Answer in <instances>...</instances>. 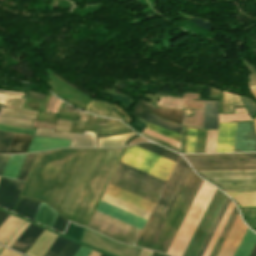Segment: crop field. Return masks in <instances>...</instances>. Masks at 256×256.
I'll list each match as a JSON object with an SVG mask.
<instances>
[{
	"label": "crop field",
	"instance_id": "db79e9e6",
	"mask_svg": "<svg viewBox=\"0 0 256 256\" xmlns=\"http://www.w3.org/2000/svg\"><path fill=\"white\" fill-rule=\"evenodd\" d=\"M142 136H144V137H146V138H148V139H151V140H153V141H155V142H158V143H160V144H162V145H164V146H166V147H169V148H171V149H173V150H175V151H177L178 152V148H176V147H174V146H171V145H169V144H167V143H164V142H162V141H160V140H158V139H155V138H153V137H151V136H148V135H146V134H142ZM157 143V144H158Z\"/></svg>",
	"mask_w": 256,
	"mask_h": 256
},
{
	"label": "crop field",
	"instance_id": "730fd06b",
	"mask_svg": "<svg viewBox=\"0 0 256 256\" xmlns=\"http://www.w3.org/2000/svg\"><path fill=\"white\" fill-rule=\"evenodd\" d=\"M230 201L231 200L226 197V199H225V201H224V203H223V205H222V207H221V209H220V211H219V213H218V215H217V217H216L212 227L210 228V230H209V232H208V234H207V236H206V238H205V240H204V242H203V244H202V246H201V248L198 251L196 256H202L203 255V253H204V251H205V249H206V247H207V245H208V243H209V241H210V239H211L215 229L217 228V226H218V224H219L223 214L225 213V211H226Z\"/></svg>",
	"mask_w": 256,
	"mask_h": 256
},
{
	"label": "crop field",
	"instance_id": "0fb4a251",
	"mask_svg": "<svg viewBox=\"0 0 256 256\" xmlns=\"http://www.w3.org/2000/svg\"><path fill=\"white\" fill-rule=\"evenodd\" d=\"M241 99H242V101L244 102V104H245V106H246L248 112L250 113L251 117H252L253 115H255V114H256V104L253 103L252 101H250V100L244 98V97H241Z\"/></svg>",
	"mask_w": 256,
	"mask_h": 256
},
{
	"label": "crop field",
	"instance_id": "f4fd0767",
	"mask_svg": "<svg viewBox=\"0 0 256 256\" xmlns=\"http://www.w3.org/2000/svg\"><path fill=\"white\" fill-rule=\"evenodd\" d=\"M195 171L256 170V153L183 155Z\"/></svg>",
	"mask_w": 256,
	"mask_h": 256
},
{
	"label": "crop field",
	"instance_id": "5142ce71",
	"mask_svg": "<svg viewBox=\"0 0 256 256\" xmlns=\"http://www.w3.org/2000/svg\"><path fill=\"white\" fill-rule=\"evenodd\" d=\"M36 135L72 139L69 147H96L94 133L84 132V134H64L53 132V130L37 129Z\"/></svg>",
	"mask_w": 256,
	"mask_h": 256
},
{
	"label": "crop field",
	"instance_id": "cbeb9de0",
	"mask_svg": "<svg viewBox=\"0 0 256 256\" xmlns=\"http://www.w3.org/2000/svg\"><path fill=\"white\" fill-rule=\"evenodd\" d=\"M246 229L238 215L217 256H233Z\"/></svg>",
	"mask_w": 256,
	"mask_h": 256
},
{
	"label": "crop field",
	"instance_id": "34b2d1b8",
	"mask_svg": "<svg viewBox=\"0 0 256 256\" xmlns=\"http://www.w3.org/2000/svg\"><path fill=\"white\" fill-rule=\"evenodd\" d=\"M114 173L121 177H124L130 181H133L141 186H144L150 190H153L159 194H161V192L164 188V185L157 183L151 179H148L144 176H141V175H139L135 172H132L128 169H125L119 165L117 166ZM115 174H113V176L109 182L110 184L156 203V201L159 197V194H157L153 191H150L144 187H141L133 182H130L124 178H121ZM110 184L108 185V187L105 191L106 193H108L114 197H117L125 202H128L138 208H141L149 213L151 212V210L154 206V203L147 201L143 198H140L136 195H133L131 193H128L124 190H121L117 187H114Z\"/></svg>",
	"mask_w": 256,
	"mask_h": 256
},
{
	"label": "crop field",
	"instance_id": "92a150f3",
	"mask_svg": "<svg viewBox=\"0 0 256 256\" xmlns=\"http://www.w3.org/2000/svg\"><path fill=\"white\" fill-rule=\"evenodd\" d=\"M57 216L58 214L49 206L41 203L33 220L44 226L52 228Z\"/></svg>",
	"mask_w": 256,
	"mask_h": 256
},
{
	"label": "crop field",
	"instance_id": "bc2a9ffb",
	"mask_svg": "<svg viewBox=\"0 0 256 256\" xmlns=\"http://www.w3.org/2000/svg\"><path fill=\"white\" fill-rule=\"evenodd\" d=\"M71 140H58L34 137L28 152L40 151L58 147H68Z\"/></svg>",
	"mask_w": 256,
	"mask_h": 256
},
{
	"label": "crop field",
	"instance_id": "dd49c442",
	"mask_svg": "<svg viewBox=\"0 0 256 256\" xmlns=\"http://www.w3.org/2000/svg\"><path fill=\"white\" fill-rule=\"evenodd\" d=\"M121 162L161 178L165 181H167L175 165V162L140 148L136 145L130 146L126 149Z\"/></svg>",
	"mask_w": 256,
	"mask_h": 256
},
{
	"label": "crop field",
	"instance_id": "5d738f31",
	"mask_svg": "<svg viewBox=\"0 0 256 256\" xmlns=\"http://www.w3.org/2000/svg\"><path fill=\"white\" fill-rule=\"evenodd\" d=\"M34 121H21L12 118L0 117V124L32 127Z\"/></svg>",
	"mask_w": 256,
	"mask_h": 256
},
{
	"label": "crop field",
	"instance_id": "c3a83c6f",
	"mask_svg": "<svg viewBox=\"0 0 256 256\" xmlns=\"http://www.w3.org/2000/svg\"><path fill=\"white\" fill-rule=\"evenodd\" d=\"M223 112H225L224 92H223Z\"/></svg>",
	"mask_w": 256,
	"mask_h": 256
},
{
	"label": "crop field",
	"instance_id": "4a817a6b",
	"mask_svg": "<svg viewBox=\"0 0 256 256\" xmlns=\"http://www.w3.org/2000/svg\"><path fill=\"white\" fill-rule=\"evenodd\" d=\"M43 229L33 225H29L18 240L13 244L11 249L25 254L38 236L42 233Z\"/></svg>",
	"mask_w": 256,
	"mask_h": 256
},
{
	"label": "crop field",
	"instance_id": "00972430",
	"mask_svg": "<svg viewBox=\"0 0 256 256\" xmlns=\"http://www.w3.org/2000/svg\"><path fill=\"white\" fill-rule=\"evenodd\" d=\"M22 223L24 222L15 217L9 216L0 227V243L4 245Z\"/></svg>",
	"mask_w": 256,
	"mask_h": 256
},
{
	"label": "crop field",
	"instance_id": "d8731c3e",
	"mask_svg": "<svg viewBox=\"0 0 256 256\" xmlns=\"http://www.w3.org/2000/svg\"><path fill=\"white\" fill-rule=\"evenodd\" d=\"M134 227V226H133ZM95 211L88 228L109 238L134 245L140 230Z\"/></svg>",
	"mask_w": 256,
	"mask_h": 256
},
{
	"label": "crop field",
	"instance_id": "1d79db26",
	"mask_svg": "<svg viewBox=\"0 0 256 256\" xmlns=\"http://www.w3.org/2000/svg\"><path fill=\"white\" fill-rule=\"evenodd\" d=\"M119 165H121V166H123V167H126V168H128V169H130V170H132V171H135V172H137V173H139V174H142V175H144V176H146V177H148V178H151V179H153V180H155V181H158V182H160V183H162V184H164L165 185V181H163V180H161V179H158V178H156V177H154V176H151V175H149V174H147V173H144V172H142V171H139V170H137V169H135V168H132V167H130V166H128V165H125V164H123V163H121V162H119Z\"/></svg>",
	"mask_w": 256,
	"mask_h": 256
},
{
	"label": "crop field",
	"instance_id": "ade564c9",
	"mask_svg": "<svg viewBox=\"0 0 256 256\" xmlns=\"http://www.w3.org/2000/svg\"><path fill=\"white\" fill-rule=\"evenodd\" d=\"M152 256H167V255H163V254H159V253L153 252Z\"/></svg>",
	"mask_w": 256,
	"mask_h": 256
},
{
	"label": "crop field",
	"instance_id": "73cf0c24",
	"mask_svg": "<svg viewBox=\"0 0 256 256\" xmlns=\"http://www.w3.org/2000/svg\"><path fill=\"white\" fill-rule=\"evenodd\" d=\"M0 131L18 132V133H24V134H30V135L35 134V130H32V129L17 128V127H11V126H3V125H0Z\"/></svg>",
	"mask_w": 256,
	"mask_h": 256
},
{
	"label": "crop field",
	"instance_id": "d32e631a",
	"mask_svg": "<svg viewBox=\"0 0 256 256\" xmlns=\"http://www.w3.org/2000/svg\"><path fill=\"white\" fill-rule=\"evenodd\" d=\"M233 206H234V204H233L232 201H231V203H230V205H229V207H228V209H227V211H226V213H225V215H224L222 221L220 222V224H219V226H218V228H217V230H216V232H215V234H214V236H213L211 242L209 243V245H208V247H207V249H206V251H205V253H204L203 256H209V254H210V252H211V250H212V248H213V246H214V244H215V242H216V240H217V238H218V236H219V234H220V232H221V230H222V228H223V226H224V224H225V222H226V220H227V218H228V216H229V214H230V212H231V210H232V208H233ZM234 207H235V206H234ZM233 209H234V208H233ZM232 211H233V210H232ZM231 213H232V212H231ZM230 215H231V214H230ZM229 217H230V216H229ZM228 219H229V218H228Z\"/></svg>",
	"mask_w": 256,
	"mask_h": 256
},
{
	"label": "crop field",
	"instance_id": "ac0d7876",
	"mask_svg": "<svg viewBox=\"0 0 256 256\" xmlns=\"http://www.w3.org/2000/svg\"><path fill=\"white\" fill-rule=\"evenodd\" d=\"M202 181L191 169L168 217L152 214L137 246L166 253Z\"/></svg>",
	"mask_w": 256,
	"mask_h": 256
},
{
	"label": "crop field",
	"instance_id": "c39391a2",
	"mask_svg": "<svg viewBox=\"0 0 256 256\" xmlns=\"http://www.w3.org/2000/svg\"><path fill=\"white\" fill-rule=\"evenodd\" d=\"M101 254L97 253V252H94L92 251L91 254L89 256H100Z\"/></svg>",
	"mask_w": 256,
	"mask_h": 256
},
{
	"label": "crop field",
	"instance_id": "1d83c4d3",
	"mask_svg": "<svg viewBox=\"0 0 256 256\" xmlns=\"http://www.w3.org/2000/svg\"><path fill=\"white\" fill-rule=\"evenodd\" d=\"M235 199L241 207H256V192L254 193H227Z\"/></svg>",
	"mask_w": 256,
	"mask_h": 256
},
{
	"label": "crop field",
	"instance_id": "750c4746",
	"mask_svg": "<svg viewBox=\"0 0 256 256\" xmlns=\"http://www.w3.org/2000/svg\"><path fill=\"white\" fill-rule=\"evenodd\" d=\"M152 113L164 119H167L171 122H175L179 124H181L182 122V116H183L182 110L154 108Z\"/></svg>",
	"mask_w": 256,
	"mask_h": 256
},
{
	"label": "crop field",
	"instance_id": "e52e79f7",
	"mask_svg": "<svg viewBox=\"0 0 256 256\" xmlns=\"http://www.w3.org/2000/svg\"><path fill=\"white\" fill-rule=\"evenodd\" d=\"M225 192L256 191V171L198 172Z\"/></svg>",
	"mask_w": 256,
	"mask_h": 256
},
{
	"label": "crop field",
	"instance_id": "1f2cbd36",
	"mask_svg": "<svg viewBox=\"0 0 256 256\" xmlns=\"http://www.w3.org/2000/svg\"><path fill=\"white\" fill-rule=\"evenodd\" d=\"M79 248L80 245L69 241V243L66 245V247L59 256H74V254L77 252Z\"/></svg>",
	"mask_w": 256,
	"mask_h": 256
},
{
	"label": "crop field",
	"instance_id": "25e5ab78",
	"mask_svg": "<svg viewBox=\"0 0 256 256\" xmlns=\"http://www.w3.org/2000/svg\"><path fill=\"white\" fill-rule=\"evenodd\" d=\"M52 73H53V75H54L55 77H57L59 80L63 81L64 83H66V84H68V85H70V86H72V87H74V88L80 90L81 92H83V93H85V94L94 96V93H92V92H90L89 90L83 88L82 86H79V85L75 84L74 82L67 80L65 77H63V76H61V75H59V74H57V73H55V72H53V71H52Z\"/></svg>",
	"mask_w": 256,
	"mask_h": 256
},
{
	"label": "crop field",
	"instance_id": "d1516ede",
	"mask_svg": "<svg viewBox=\"0 0 256 256\" xmlns=\"http://www.w3.org/2000/svg\"><path fill=\"white\" fill-rule=\"evenodd\" d=\"M256 151V133L252 121L237 122L234 152Z\"/></svg>",
	"mask_w": 256,
	"mask_h": 256
},
{
	"label": "crop field",
	"instance_id": "89e229c0",
	"mask_svg": "<svg viewBox=\"0 0 256 256\" xmlns=\"http://www.w3.org/2000/svg\"><path fill=\"white\" fill-rule=\"evenodd\" d=\"M196 129L189 128L186 153H194Z\"/></svg>",
	"mask_w": 256,
	"mask_h": 256
},
{
	"label": "crop field",
	"instance_id": "0765c3eb",
	"mask_svg": "<svg viewBox=\"0 0 256 256\" xmlns=\"http://www.w3.org/2000/svg\"><path fill=\"white\" fill-rule=\"evenodd\" d=\"M188 128L183 127L181 153H185Z\"/></svg>",
	"mask_w": 256,
	"mask_h": 256
},
{
	"label": "crop field",
	"instance_id": "9d1cf04e",
	"mask_svg": "<svg viewBox=\"0 0 256 256\" xmlns=\"http://www.w3.org/2000/svg\"><path fill=\"white\" fill-rule=\"evenodd\" d=\"M66 225H67V222L64 219H62L60 216H58L53 228L63 233Z\"/></svg>",
	"mask_w": 256,
	"mask_h": 256
},
{
	"label": "crop field",
	"instance_id": "dbb93151",
	"mask_svg": "<svg viewBox=\"0 0 256 256\" xmlns=\"http://www.w3.org/2000/svg\"><path fill=\"white\" fill-rule=\"evenodd\" d=\"M1 115H5V116H13V117H20V118H25V119H35L36 116L34 115H29V114H25V113H20V112H16L7 108H3V111L1 113Z\"/></svg>",
	"mask_w": 256,
	"mask_h": 256
},
{
	"label": "crop field",
	"instance_id": "a9b5d70f",
	"mask_svg": "<svg viewBox=\"0 0 256 256\" xmlns=\"http://www.w3.org/2000/svg\"><path fill=\"white\" fill-rule=\"evenodd\" d=\"M136 136L134 132H130L117 137L98 138V147H122L129 138Z\"/></svg>",
	"mask_w": 256,
	"mask_h": 256
},
{
	"label": "crop field",
	"instance_id": "fb207236",
	"mask_svg": "<svg viewBox=\"0 0 256 256\" xmlns=\"http://www.w3.org/2000/svg\"><path fill=\"white\" fill-rule=\"evenodd\" d=\"M2 106H0V109H1Z\"/></svg>",
	"mask_w": 256,
	"mask_h": 256
},
{
	"label": "crop field",
	"instance_id": "b54c1fbb",
	"mask_svg": "<svg viewBox=\"0 0 256 256\" xmlns=\"http://www.w3.org/2000/svg\"><path fill=\"white\" fill-rule=\"evenodd\" d=\"M99 93L110 95V96H112L113 100L119 101L129 108L135 102L129 96H126V95L115 94V93H111V92H107V91H103V90H100Z\"/></svg>",
	"mask_w": 256,
	"mask_h": 256
},
{
	"label": "crop field",
	"instance_id": "03da06ac",
	"mask_svg": "<svg viewBox=\"0 0 256 256\" xmlns=\"http://www.w3.org/2000/svg\"><path fill=\"white\" fill-rule=\"evenodd\" d=\"M207 130H197L195 153H204Z\"/></svg>",
	"mask_w": 256,
	"mask_h": 256
},
{
	"label": "crop field",
	"instance_id": "dafd665d",
	"mask_svg": "<svg viewBox=\"0 0 256 256\" xmlns=\"http://www.w3.org/2000/svg\"><path fill=\"white\" fill-rule=\"evenodd\" d=\"M86 111H88L90 113L102 115V116L116 118V119H119V120L123 119V117H120L118 114H116L114 112V110L112 109L111 104L101 102V101H98V100H94V99H92V101L90 102Z\"/></svg>",
	"mask_w": 256,
	"mask_h": 256
},
{
	"label": "crop field",
	"instance_id": "eef30255",
	"mask_svg": "<svg viewBox=\"0 0 256 256\" xmlns=\"http://www.w3.org/2000/svg\"><path fill=\"white\" fill-rule=\"evenodd\" d=\"M255 241L256 235L252 231L247 229L234 256H248Z\"/></svg>",
	"mask_w": 256,
	"mask_h": 256
},
{
	"label": "crop field",
	"instance_id": "7b73153f",
	"mask_svg": "<svg viewBox=\"0 0 256 256\" xmlns=\"http://www.w3.org/2000/svg\"><path fill=\"white\" fill-rule=\"evenodd\" d=\"M10 156H0V176L2 175L4 168Z\"/></svg>",
	"mask_w": 256,
	"mask_h": 256
},
{
	"label": "crop field",
	"instance_id": "028f5c9d",
	"mask_svg": "<svg viewBox=\"0 0 256 256\" xmlns=\"http://www.w3.org/2000/svg\"><path fill=\"white\" fill-rule=\"evenodd\" d=\"M67 243L68 240L58 236L44 256H58Z\"/></svg>",
	"mask_w": 256,
	"mask_h": 256
},
{
	"label": "crop field",
	"instance_id": "78b8030e",
	"mask_svg": "<svg viewBox=\"0 0 256 256\" xmlns=\"http://www.w3.org/2000/svg\"><path fill=\"white\" fill-rule=\"evenodd\" d=\"M27 97L33 98V99H37V100H41L43 101L45 98V95H41V94H37V93H33V92H29L26 94Z\"/></svg>",
	"mask_w": 256,
	"mask_h": 256
},
{
	"label": "crop field",
	"instance_id": "214f88e0",
	"mask_svg": "<svg viewBox=\"0 0 256 256\" xmlns=\"http://www.w3.org/2000/svg\"><path fill=\"white\" fill-rule=\"evenodd\" d=\"M217 112V101H204V128L216 129L218 127Z\"/></svg>",
	"mask_w": 256,
	"mask_h": 256
},
{
	"label": "crop field",
	"instance_id": "5866460e",
	"mask_svg": "<svg viewBox=\"0 0 256 256\" xmlns=\"http://www.w3.org/2000/svg\"><path fill=\"white\" fill-rule=\"evenodd\" d=\"M146 121L150 122V123H154L157 124L159 126H162L164 128H167L169 130L175 131L177 133L181 134V126L180 125H176L170 122H167L165 120H162L158 117H155L151 114H149V116L146 118Z\"/></svg>",
	"mask_w": 256,
	"mask_h": 256
},
{
	"label": "crop field",
	"instance_id": "e1d0b9f6",
	"mask_svg": "<svg viewBox=\"0 0 256 256\" xmlns=\"http://www.w3.org/2000/svg\"><path fill=\"white\" fill-rule=\"evenodd\" d=\"M131 113V112H130ZM132 114V113H131ZM133 115V114H132ZM134 116V115H133ZM135 117V116H134ZM135 119H136V121H135V123L133 124L134 126H135V128L136 129H138V130H140V131H142L145 127H146V125L143 123V122H141L139 119H137L136 117H135Z\"/></svg>",
	"mask_w": 256,
	"mask_h": 256
},
{
	"label": "crop field",
	"instance_id": "733c2abd",
	"mask_svg": "<svg viewBox=\"0 0 256 256\" xmlns=\"http://www.w3.org/2000/svg\"><path fill=\"white\" fill-rule=\"evenodd\" d=\"M236 122L219 123L216 152H233Z\"/></svg>",
	"mask_w": 256,
	"mask_h": 256
},
{
	"label": "crop field",
	"instance_id": "ae1a2a85",
	"mask_svg": "<svg viewBox=\"0 0 256 256\" xmlns=\"http://www.w3.org/2000/svg\"><path fill=\"white\" fill-rule=\"evenodd\" d=\"M31 137L15 134L7 153H25Z\"/></svg>",
	"mask_w": 256,
	"mask_h": 256
},
{
	"label": "crop field",
	"instance_id": "0bd39190",
	"mask_svg": "<svg viewBox=\"0 0 256 256\" xmlns=\"http://www.w3.org/2000/svg\"><path fill=\"white\" fill-rule=\"evenodd\" d=\"M226 112H233V107L243 106L239 96L225 92Z\"/></svg>",
	"mask_w": 256,
	"mask_h": 256
},
{
	"label": "crop field",
	"instance_id": "412701ff",
	"mask_svg": "<svg viewBox=\"0 0 256 256\" xmlns=\"http://www.w3.org/2000/svg\"><path fill=\"white\" fill-rule=\"evenodd\" d=\"M212 185L203 181L192 205L190 206L180 228L178 229L167 254L182 256L197 224L199 223L214 191Z\"/></svg>",
	"mask_w": 256,
	"mask_h": 256
},
{
	"label": "crop field",
	"instance_id": "7312dd0a",
	"mask_svg": "<svg viewBox=\"0 0 256 256\" xmlns=\"http://www.w3.org/2000/svg\"><path fill=\"white\" fill-rule=\"evenodd\" d=\"M2 247V246H1ZM1 247H0V249H1Z\"/></svg>",
	"mask_w": 256,
	"mask_h": 256
},
{
	"label": "crop field",
	"instance_id": "c035e120",
	"mask_svg": "<svg viewBox=\"0 0 256 256\" xmlns=\"http://www.w3.org/2000/svg\"><path fill=\"white\" fill-rule=\"evenodd\" d=\"M218 130H208L205 153L215 152Z\"/></svg>",
	"mask_w": 256,
	"mask_h": 256
},
{
	"label": "crop field",
	"instance_id": "d23c7cc5",
	"mask_svg": "<svg viewBox=\"0 0 256 256\" xmlns=\"http://www.w3.org/2000/svg\"><path fill=\"white\" fill-rule=\"evenodd\" d=\"M14 134L0 132V153H6Z\"/></svg>",
	"mask_w": 256,
	"mask_h": 256
},
{
	"label": "crop field",
	"instance_id": "e1f06a70",
	"mask_svg": "<svg viewBox=\"0 0 256 256\" xmlns=\"http://www.w3.org/2000/svg\"><path fill=\"white\" fill-rule=\"evenodd\" d=\"M35 156H36V154H31V155L26 156V158L23 162V165L20 169V172H19L16 179L23 180V181L26 180L27 174H28V172L31 168V165H32V162H33Z\"/></svg>",
	"mask_w": 256,
	"mask_h": 256
},
{
	"label": "crop field",
	"instance_id": "c21b1889",
	"mask_svg": "<svg viewBox=\"0 0 256 256\" xmlns=\"http://www.w3.org/2000/svg\"><path fill=\"white\" fill-rule=\"evenodd\" d=\"M147 129L152 130L154 132H157L159 134H162L164 136H167L169 138H172V139L177 140V141L180 142V135L176 134L174 132H171V131H169L167 129H164V128H161L159 126H156V125H153V124H149V123H148Z\"/></svg>",
	"mask_w": 256,
	"mask_h": 256
},
{
	"label": "crop field",
	"instance_id": "4177f3b9",
	"mask_svg": "<svg viewBox=\"0 0 256 256\" xmlns=\"http://www.w3.org/2000/svg\"><path fill=\"white\" fill-rule=\"evenodd\" d=\"M40 203L21 198L15 213L33 219Z\"/></svg>",
	"mask_w": 256,
	"mask_h": 256
},
{
	"label": "crop field",
	"instance_id": "28ad6ade",
	"mask_svg": "<svg viewBox=\"0 0 256 256\" xmlns=\"http://www.w3.org/2000/svg\"><path fill=\"white\" fill-rule=\"evenodd\" d=\"M81 241L115 256H138L141 250L139 248L119 244L87 229H85Z\"/></svg>",
	"mask_w": 256,
	"mask_h": 256
},
{
	"label": "crop field",
	"instance_id": "180be81f",
	"mask_svg": "<svg viewBox=\"0 0 256 256\" xmlns=\"http://www.w3.org/2000/svg\"><path fill=\"white\" fill-rule=\"evenodd\" d=\"M101 256H103V255H101Z\"/></svg>",
	"mask_w": 256,
	"mask_h": 256
},
{
	"label": "crop field",
	"instance_id": "0f1d7ab4",
	"mask_svg": "<svg viewBox=\"0 0 256 256\" xmlns=\"http://www.w3.org/2000/svg\"><path fill=\"white\" fill-rule=\"evenodd\" d=\"M91 250L86 249L81 246V248L78 250V252L75 254V256H88L90 254Z\"/></svg>",
	"mask_w": 256,
	"mask_h": 256
},
{
	"label": "crop field",
	"instance_id": "c5b07064",
	"mask_svg": "<svg viewBox=\"0 0 256 256\" xmlns=\"http://www.w3.org/2000/svg\"><path fill=\"white\" fill-rule=\"evenodd\" d=\"M251 89L253 91V94L256 95V86H252Z\"/></svg>",
	"mask_w": 256,
	"mask_h": 256
},
{
	"label": "crop field",
	"instance_id": "5a996713",
	"mask_svg": "<svg viewBox=\"0 0 256 256\" xmlns=\"http://www.w3.org/2000/svg\"><path fill=\"white\" fill-rule=\"evenodd\" d=\"M190 169L188 164L180 157L153 214L167 217Z\"/></svg>",
	"mask_w": 256,
	"mask_h": 256
},
{
	"label": "crop field",
	"instance_id": "d9b57169",
	"mask_svg": "<svg viewBox=\"0 0 256 256\" xmlns=\"http://www.w3.org/2000/svg\"><path fill=\"white\" fill-rule=\"evenodd\" d=\"M97 211L101 212V213H104L110 217H113L117 220H120L124 223H127L131 226H134L138 229H142L144 223H145V220L141 219V218H138L132 214H129L125 211H122L118 208H115L109 204H106L102 201H100L97 209Z\"/></svg>",
	"mask_w": 256,
	"mask_h": 256
},
{
	"label": "crop field",
	"instance_id": "d14b1444",
	"mask_svg": "<svg viewBox=\"0 0 256 256\" xmlns=\"http://www.w3.org/2000/svg\"><path fill=\"white\" fill-rule=\"evenodd\" d=\"M250 256H256V244H255Z\"/></svg>",
	"mask_w": 256,
	"mask_h": 256
},
{
	"label": "crop field",
	"instance_id": "3316defc",
	"mask_svg": "<svg viewBox=\"0 0 256 256\" xmlns=\"http://www.w3.org/2000/svg\"><path fill=\"white\" fill-rule=\"evenodd\" d=\"M225 195L217 189L184 253L183 256H195L202 241L204 240L214 218L216 217L224 199Z\"/></svg>",
	"mask_w": 256,
	"mask_h": 256
},
{
	"label": "crop field",
	"instance_id": "d3111659",
	"mask_svg": "<svg viewBox=\"0 0 256 256\" xmlns=\"http://www.w3.org/2000/svg\"><path fill=\"white\" fill-rule=\"evenodd\" d=\"M26 155L11 156L2 176L15 179Z\"/></svg>",
	"mask_w": 256,
	"mask_h": 256
},
{
	"label": "crop field",
	"instance_id": "120bbe31",
	"mask_svg": "<svg viewBox=\"0 0 256 256\" xmlns=\"http://www.w3.org/2000/svg\"><path fill=\"white\" fill-rule=\"evenodd\" d=\"M138 146L143 147V148H145L147 150H150V151H152L154 153H157V154H159L161 156H164V157H166L168 159H171V160H173L175 162L177 161V159L179 157L178 155H176L177 153L174 154V153H172V152H170V151H168V150H166V149H164V148H162L160 146L153 145V144H150V143H143V144H139Z\"/></svg>",
	"mask_w": 256,
	"mask_h": 256
},
{
	"label": "crop field",
	"instance_id": "22f410ed",
	"mask_svg": "<svg viewBox=\"0 0 256 256\" xmlns=\"http://www.w3.org/2000/svg\"><path fill=\"white\" fill-rule=\"evenodd\" d=\"M25 183L0 179V207L13 211Z\"/></svg>",
	"mask_w": 256,
	"mask_h": 256
},
{
	"label": "crop field",
	"instance_id": "b80d0937",
	"mask_svg": "<svg viewBox=\"0 0 256 256\" xmlns=\"http://www.w3.org/2000/svg\"><path fill=\"white\" fill-rule=\"evenodd\" d=\"M143 106H145V108H143ZM152 108V106L148 105L146 102L141 100L136 104L133 111L138 117L145 120V118L148 116Z\"/></svg>",
	"mask_w": 256,
	"mask_h": 256
},
{
	"label": "crop field",
	"instance_id": "8a807250",
	"mask_svg": "<svg viewBox=\"0 0 256 256\" xmlns=\"http://www.w3.org/2000/svg\"><path fill=\"white\" fill-rule=\"evenodd\" d=\"M123 149H58L40 153L22 196L51 205L85 226Z\"/></svg>",
	"mask_w": 256,
	"mask_h": 256
},
{
	"label": "crop field",
	"instance_id": "ae633e8c",
	"mask_svg": "<svg viewBox=\"0 0 256 256\" xmlns=\"http://www.w3.org/2000/svg\"><path fill=\"white\" fill-rule=\"evenodd\" d=\"M9 215V214H8ZM8 215L0 212V226L1 224L6 220V218L8 217Z\"/></svg>",
	"mask_w": 256,
	"mask_h": 256
},
{
	"label": "crop field",
	"instance_id": "425ffa30",
	"mask_svg": "<svg viewBox=\"0 0 256 256\" xmlns=\"http://www.w3.org/2000/svg\"><path fill=\"white\" fill-rule=\"evenodd\" d=\"M82 230H83L82 227H78V226H75V225L69 223L64 234L79 241L80 234H81Z\"/></svg>",
	"mask_w": 256,
	"mask_h": 256
},
{
	"label": "crop field",
	"instance_id": "447ae74e",
	"mask_svg": "<svg viewBox=\"0 0 256 256\" xmlns=\"http://www.w3.org/2000/svg\"><path fill=\"white\" fill-rule=\"evenodd\" d=\"M29 224L28 223H26V224H24L20 229H19V231L15 234V236L12 238V240L8 243V245H7V247H11L12 246V244L17 240V238L22 234V232L27 228V226H28Z\"/></svg>",
	"mask_w": 256,
	"mask_h": 256
},
{
	"label": "crop field",
	"instance_id": "bd1437ed",
	"mask_svg": "<svg viewBox=\"0 0 256 256\" xmlns=\"http://www.w3.org/2000/svg\"><path fill=\"white\" fill-rule=\"evenodd\" d=\"M99 127H113V126H119L113 129H98L97 131H117V132H110V133H97L98 137H106V136H112L117 134H123L131 131L126 125H124L122 122L117 120H111L108 124H99Z\"/></svg>",
	"mask_w": 256,
	"mask_h": 256
}]
</instances>
